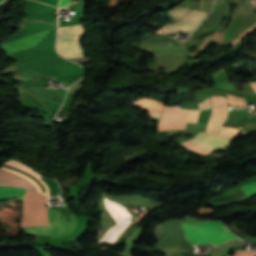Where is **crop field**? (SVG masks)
<instances>
[{
	"mask_svg": "<svg viewBox=\"0 0 256 256\" xmlns=\"http://www.w3.org/2000/svg\"><path fill=\"white\" fill-rule=\"evenodd\" d=\"M212 107L215 106H227L225 98L222 97H211Z\"/></svg>",
	"mask_w": 256,
	"mask_h": 256,
	"instance_id": "12",
	"label": "crop field"
},
{
	"mask_svg": "<svg viewBox=\"0 0 256 256\" xmlns=\"http://www.w3.org/2000/svg\"><path fill=\"white\" fill-rule=\"evenodd\" d=\"M141 48L160 52L150 68L152 70H156L157 67L170 70L185 59L183 44H150L142 45Z\"/></svg>",
	"mask_w": 256,
	"mask_h": 256,
	"instance_id": "3",
	"label": "crop field"
},
{
	"mask_svg": "<svg viewBox=\"0 0 256 256\" xmlns=\"http://www.w3.org/2000/svg\"><path fill=\"white\" fill-rule=\"evenodd\" d=\"M197 135L222 141V142H226V143H228L231 140L228 138H223V137H219V136L208 134V133H199ZM214 140L196 136L192 140L186 141L181 145L203 156H207V154L213 151L216 147L225 148L227 145L225 143L214 141Z\"/></svg>",
	"mask_w": 256,
	"mask_h": 256,
	"instance_id": "5",
	"label": "crop field"
},
{
	"mask_svg": "<svg viewBox=\"0 0 256 256\" xmlns=\"http://www.w3.org/2000/svg\"><path fill=\"white\" fill-rule=\"evenodd\" d=\"M246 195L256 192V182L241 186Z\"/></svg>",
	"mask_w": 256,
	"mask_h": 256,
	"instance_id": "11",
	"label": "crop field"
},
{
	"mask_svg": "<svg viewBox=\"0 0 256 256\" xmlns=\"http://www.w3.org/2000/svg\"><path fill=\"white\" fill-rule=\"evenodd\" d=\"M26 190L0 187V200L19 198L22 199ZM47 197L33 191H27L24 199V213L21 227H36L51 224L52 239L61 238L70 233L65 217L59 221V211L45 208ZM27 234H51L50 226L23 229Z\"/></svg>",
	"mask_w": 256,
	"mask_h": 256,
	"instance_id": "1",
	"label": "crop field"
},
{
	"mask_svg": "<svg viewBox=\"0 0 256 256\" xmlns=\"http://www.w3.org/2000/svg\"><path fill=\"white\" fill-rule=\"evenodd\" d=\"M104 205L106 209L112 214L116 223L132 217V215L127 211L126 208L108 200L107 198H104Z\"/></svg>",
	"mask_w": 256,
	"mask_h": 256,
	"instance_id": "8",
	"label": "crop field"
},
{
	"mask_svg": "<svg viewBox=\"0 0 256 256\" xmlns=\"http://www.w3.org/2000/svg\"><path fill=\"white\" fill-rule=\"evenodd\" d=\"M130 221H123L111 228H109L99 239V241L114 242L119 234L127 227Z\"/></svg>",
	"mask_w": 256,
	"mask_h": 256,
	"instance_id": "10",
	"label": "crop field"
},
{
	"mask_svg": "<svg viewBox=\"0 0 256 256\" xmlns=\"http://www.w3.org/2000/svg\"><path fill=\"white\" fill-rule=\"evenodd\" d=\"M250 85L252 86V88L254 89V91L256 93V83L255 82H251Z\"/></svg>",
	"mask_w": 256,
	"mask_h": 256,
	"instance_id": "17",
	"label": "crop field"
},
{
	"mask_svg": "<svg viewBox=\"0 0 256 256\" xmlns=\"http://www.w3.org/2000/svg\"><path fill=\"white\" fill-rule=\"evenodd\" d=\"M132 105L149 110V115L159 117L162 109V104L157 101L150 100V99H140Z\"/></svg>",
	"mask_w": 256,
	"mask_h": 256,
	"instance_id": "9",
	"label": "crop field"
},
{
	"mask_svg": "<svg viewBox=\"0 0 256 256\" xmlns=\"http://www.w3.org/2000/svg\"><path fill=\"white\" fill-rule=\"evenodd\" d=\"M49 30L42 31L9 43L1 44L3 51L6 53L14 52L20 49L31 47L37 44L44 36L48 33Z\"/></svg>",
	"mask_w": 256,
	"mask_h": 256,
	"instance_id": "7",
	"label": "crop field"
},
{
	"mask_svg": "<svg viewBox=\"0 0 256 256\" xmlns=\"http://www.w3.org/2000/svg\"><path fill=\"white\" fill-rule=\"evenodd\" d=\"M182 224L184 226L187 239H189L194 244L212 243L216 246L231 238H238L232 233L228 232L221 222Z\"/></svg>",
	"mask_w": 256,
	"mask_h": 256,
	"instance_id": "2",
	"label": "crop field"
},
{
	"mask_svg": "<svg viewBox=\"0 0 256 256\" xmlns=\"http://www.w3.org/2000/svg\"><path fill=\"white\" fill-rule=\"evenodd\" d=\"M234 256H256V250L236 251Z\"/></svg>",
	"mask_w": 256,
	"mask_h": 256,
	"instance_id": "13",
	"label": "crop field"
},
{
	"mask_svg": "<svg viewBox=\"0 0 256 256\" xmlns=\"http://www.w3.org/2000/svg\"><path fill=\"white\" fill-rule=\"evenodd\" d=\"M76 225V218L74 215H69V226H70V230L72 232V230L74 229Z\"/></svg>",
	"mask_w": 256,
	"mask_h": 256,
	"instance_id": "15",
	"label": "crop field"
},
{
	"mask_svg": "<svg viewBox=\"0 0 256 256\" xmlns=\"http://www.w3.org/2000/svg\"><path fill=\"white\" fill-rule=\"evenodd\" d=\"M200 111L179 110L165 106L159 122V131L184 129L185 122H196Z\"/></svg>",
	"mask_w": 256,
	"mask_h": 256,
	"instance_id": "4",
	"label": "crop field"
},
{
	"mask_svg": "<svg viewBox=\"0 0 256 256\" xmlns=\"http://www.w3.org/2000/svg\"><path fill=\"white\" fill-rule=\"evenodd\" d=\"M208 13L203 11H192L188 16L178 23L172 25L162 33L174 31H192L194 30L207 16Z\"/></svg>",
	"mask_w": 256,
	"mask_h": 256,
	"instance_id": "6",
	"label": "crop field"
},
{
	"mask_svg": "<svg viewBox=\"0 0 256 256\" xmlns=\"http://www.w3.org/2000/svg\"><path fill=\"white\" fill-rule=\"evenodd\" d=\"M198 105H199V109L210 108L211 107L210 99L208 98V99L198 103Z\"/></svg>",
	"mask_w": 256,
	"mask_h": 256,
	"instance_id": "14",
	"label": "crop field"
},
{
	"mask_svg": "<svg viewBox=\"0 0 256 256\" xmlns=\"http://www.w3.org/2000/svg\"><path fill=\"white\" fill-rule=\"evenodd\" d=\"M70 4V0H61V4H60V7H64L66 5Z\"/></svg>",
	"mask_w": 256,
	"mask_h": 256,
	"instance_id": "16",
	"label": "crop field"
}]
</instances>
